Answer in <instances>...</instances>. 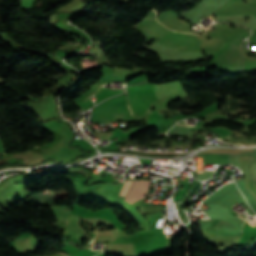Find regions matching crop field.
Segmentation results:
<instances>
[{"mask_svg": "<svg viewBox=\"0 0 256 256\" xmlns=\"http://www.w3.org/2000/svg\"><path fill=\"white\" fill-rule=\"evenodd\" d=\"M149 183L150 181L148 180H138L134 182L126 201L132 204L139 199L145 198L149 188Z\"/></svg>", "mask_w": 256, "mask_h": 256, "instance_id": "obj_1", "label": "crop field"}, {"mask_svg": "<svg viewBox=\"0 0 256 256\" xmlns=\"http://www.w3.org/2000/svg\"><path fill=\"white\" fill-rule=\"evenodd\" d=\"M126 182H127V181H126ZM126 182H125V184H124V186H123V188H122V190H121V192H120V194H119V195H121V194H122V192H123V190H124V188H125ZM131 183H132V181H128V182H127V185H126L125 191H124V193H123V195H122V196H125V195H126L127 191L129 190V188H130V186H131Z\"/></svg>", "mask_w": 256, "mask_h": 256, "instance_id": "obj_2", "label": "crop field"}, {"mask_svg": "<svg viewBox=\"0 0 256 256\" xmlns=\"http://www.w3.org/2000/svg\"><path fill=\"white\" fill-rule=\"evenodd\" d=\"M252 171H253V175H255V174H256V163L253 164V166H252Z\"/></svg>", "mask_w": 256, "mask_h": 256, "instance_id": "obj_3", "label": "crop field"}, {"mask_svg": "<svg viewBox=\"0 0 256 256\" xmlns=\"http://www.w3.org/2000/svg\"><path fill=\"white\" fill-rule=\"evenodd\" d=\"M125 181V180H124Z\"/></svg>", "mask_w": 256, "mask_h": 256, "instance_id": "obj_4", "label": "crop field"}, {"mask_svg": "<svg viewBox=\"0 0 256 256\" xmlns=\"http://www.w3.org/2000/svg\"><path fill=\"white\" fill-rule=\"evenodd\" d=\"M131 109V108H130Z\"/></svg>", "mask_w": 256, "mask_h": 256, "instance_id": "obj_5", "label": "crop field"}]
</instances>
